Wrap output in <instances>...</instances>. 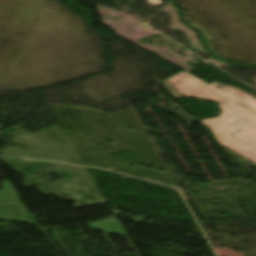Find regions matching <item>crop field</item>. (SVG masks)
Returning a JSON list of instances; mask_svg holds the SVG:
<instances>
[{"label":"crop field","instance_id":"crop-field-1","mask_svg":"<svg viewBox=\"0 0 256 256\" xmlns=\"http://www.w3.org/2000/svg\"><path fill=\"white\" fill-rule=\"evenodd\" d=\"M163 84L174 98L187 95L220 103L219 117L199 122L210 129L220 144L256 164V98L218 82L208 85L185 71Z\"/></svg>","mask_w":256,"mask_h":256}]
</instances>
